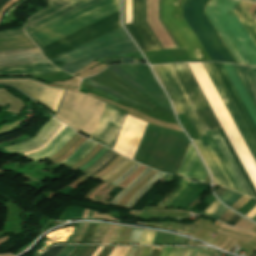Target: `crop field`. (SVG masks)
Listing matches in <instances>:
<instances>
[{"label":"crop field","instance_id":"crop-field-31","mask_svg":"<svg viewBox=\"0 0 256 256\" xmlns=\"http://www.w3.org/2000/svg\"><path fill=\"white\" fill-rule=\"evenodd\" d=\"M108 225H99L91 243H100Z\"/></svg>","mask_w":256,"mask_h":256},{"label":"crop field","instance_id":"crop-field-5","mask_svg":"<svg viewBox=\"0 0 256 256\" xmlns=\"http://www.w3.org/2000/svg\"><path fill=\"white\" fill-rule=\"evenodd\" d=\"M105 105L87 95L66 90L55 117L77 132L81 130L92 136Z\"/></svg>","mask_w":256,"mask_h":256},{"label":"crop field","instance_id":"crop-field-46","mask_svg":"<svg viewBox=\"0 0 256 256\" xmlns=\"http://www.w3.org/2000/svg\"><path fill=\"white\" fill-rule=\"evenodd\" d=\"M184 249L172 248L168 256H180Z\"/></svg>","mask_w":256,"mask_h":256},{"label":"crop field","instance_id":"crop-field-9","mask_svg":"<svg viewBox=\"0 0 256 256\" xmlns=\"http://www.w3.org/2000/svg\"><path fill=\"white\" fill-rule=\"evenodd\" d=\"M102 0H49V8L29 19L26 31L30 34L83 10Z\"/></svg>","mask_w":256,"mask_h":256},{"label":"crop field","instance_id":"crop-field-21","mask_svg":"<svg viewBox=\"0 0 256 256\" xmlns=\"http://www.w3.org/2000/svg\"><path fill=\"white\" fill-rule=\"evenodd\" d=\"M251 5V2L240 0L233 11L256 44V20H253L248 11Z\"/></svg>","mask_w":256,"mask_h":256},{"label":"crop field","instance_id":"crop-field-60","mask_svg":"<svg viewBox=\"0 0 256 256\" xmlns=\"http://www.w3.org/2000/svg\"><path fill=\"white\" fill-rule=\"evenodd\" d=\"M252 220L256 221V216Z\"/></svg>","mask_w":256,"mask_h":256},{"label":"crop field","instance_id":"crop-field-56","mask_svg":"<svg viewBox=\"0 0 256 256\" xmlns=\"http://www.w3.org/2000/svg\"><path fill=\"white\" fill-rule=\"evenodd\" d=\"M198 251H199V250L194 249L193 252H192V254H191L190 256H195Z\"/></svg>","mask_w":256,"mask_h":256},{"label":"crop field","instance_id":"crop-field-1","mask_svg":"<svg viewBox=\"0 0 256 256\" xmlns=\"http://www.w3.org/2000/svg\"><path fill=\"white\" fill-rule=\"evenodd\" d=\"M182 65H183L186 73L188 74L192 84L194 85L198 95L200 96L204 106L206 107L210 117L212 118L216 128H219L220 125H219L215 115L213 114L208 102L206 101L201 89L199 88L194 76L192 75L187 63H182ZM182 65H181V63L176 64L181 76L183 77L188 89L190 90V92H191L196 104L198 105L203 117L205 118L210 130L215 129V126H214L211 118L209 117L205 107L203 106L199 96L197 95V93H196L193 85L191 84L187 74L185 73ZM170 66H171L175 76L177 77L182 89L184 90L189 102L191 103L196 115L198 116L202 126L204 127L205 131L209 130L204 118L202 117L197 105L195 104V102H194L189 90L187 89L182 77L180 76L175 64H170ZM170 66H169V64H164V65H156V66H154V68H155L159 78L161 79L165 89L167 90V92H168V94H169V96H170V98H171V100L174 104L177 114L179 115V114H183L185 112L186 117L188 118L190 123L193 125L195 131L197 132L201 141H197V140H194V141L196 142L200 152L202 153V155H203L206 163L208 164L212 174L214 175L218 185H222V186H225V187H227L229 189H233V190L237 189V191H239L243 194L246 193V195H248L250 197H253L250 189L248 188L244 178L242 177L239 169L237 168L233 158L231 157L228 149L226 148V146H225L222 138L220 137L217 129L212 130V133H213L215 139L217 140L220 148L222 149L225 157L227 158V160H228L231 168L233 169L236 177L238 178L241 186L243 187L245 193H244L242 187L240 186L237 178L235 177L232 169L230 168V166H229L226 158L224 157L221 149L219 148L216 140L214 139L211 131H208L206 133H207L209 139L211 140L216 152L218 153L223 165L225 166L230 178L232 179V181H233V183L236 187V189H235V187H234L233 183L231 182L227 172L225 171L222 163L220 162L216 152L214 151L211 143L209 142L205 132L203 131L196 115L194 114L187 98L185 97L178 81L176 80ZM182 108H183L184 112H183Z\"/></svg>","mask_w":256,"mask_h":256},{"label":"crop field","instance_id":"crop-field-35","mask_svg":"<svg viewBox=\"0 0 256 256\" xmlns=\"http://www.w3.org/2000/svg\"><path fill=\"white\" fill-rule=\"evenodd\" d=\"M97 143L92 142L77 158H75L73 161H71L69 164L65 165L67 167L71 166L72 164L76 163L77 161L81 160L86 156V154L91 151ZM73 166V165H72Z\"/></svg>","mask_w":256,"mask_h":256},{"label":"crop field","instance_id":"crop-field-50","mask_svg":"<svg viewBox=\"0 0 256 256\" xmlns=\"http://www.w3.org/2000/svg\"><path fill=\"white\" fill-rule=\"evenodd\" d=\"M71 245H66L56 256H63Z\"/></svg>","mask_w":256,"mask_h":256},{"label":"crop field","instance_id":"crop-field-2","mask_svg":"<svg viewBox=\"0 0 256 256\" xmlns=\"http://www.w3.org/2000/svg\"><path fill=\"white\" fill-rule=\"evenodd\" d=\"M163 0L162 20L177 42L180 49L186 51L190 59L219 60L233 62V58L203 14L208 0ZM183 17L198 38L185 22ZM132 22L127 27L143 51L160 50L152 36L142 23V0H132Z\"/></svg>","mask_w":256,"mask_h":256},{"label":"crop field","instance_id":"crop-field-43","mask_svg":"<svg viewBox=\"0 0 256 256\" xmlns=\"http://www.w3.org/2000/svg\"><path fill=\"white\" fill-rule=\"evenodd\" d=\"M96 248L97 246H87L86 250L81 256H92Z\"/></svg>","mask_w":256,"mask_h":256},{"label":"crop field","instance_id":"crop-field-13","mask_svg":"<svg viewBox=\"0 0 256 256\" xmlns=\"http://www.w3.org/2000/svg\"><path fill=\"white\" fill-rule=\"evenodd\" d=\"M146 124L127 115L113 150L133 159Z\"/></svg>","mask_w":256,"mask_h":256},{"label":"crop field","instance_id":"crop-field-11","mask_svg":"<svg viewBox=\"0 0 256 256\" xmlns=\"http://www.w3.org/2000/svg\"><path fill=\"white\" fill-rule=\"evenodd\" d=\"M203 65L256 161V142L247 128L243 118L241 117L237 107L235 106L231 96L229 95L225 85L223 84L219 74L217 73L213 63H203Z\"/></svg>","mask_w":256,"mask_h":256},{"label":"crop field","instance_id":"crop-field-8","mask_svg":"<svg viewBox=\"0 0 256 256\" xmlns=\"http://www.w3.org/2000/svg\"><path fill=\"white\" fill-rule=\"evenodd\" d=\"M109 68L144 95L150 97L158 106L172 112L165 93L154 80L148 66L112 65Z\"/></svg>","mask_w":256,"mask_h":256},{"label":"crop field","instance_id":"crop-field-16","mask_svg":"<svg viewBox=\"0 0 256 256\" xmlns=\"http://www.w3.org/2000/svg\"><path fill=\"white\" fill-rule=\"evenodd\" d=\"M62 123L58 122L56 119L52 118L49 120L42 130L32 139L18 143L16 145L5 147V150L8 152H25L33 150L44 142L51 133L61 125Z\"/></svg>","mask_w":256,"mask_h":256},{"label":"crop field","instance_id":"crop-field-47","mask_svg":"<svg viewBox=\"0 0 256 256\" xmlns=\"http://www.w3.org/2000/svg\"><path fill=\"white\" fill-rule=\"evenodd\" d=\"M187 242H188V239H184L177 236L173 245H186Z\"/></svg>","mask_w":256,"mask_h":256},{"label":"crop field","instance_id":"crop-field-34","mask_svg":"<svg viewBox=\"0 0 256 256\" xmlns=\"http://www.w3.org/2000/svg\"><path fill=\"white\" fill-rule=\"evenodd\" d=\"M118 156L119 155L114 153L99 168H97L95 171H93L92 173H90V174H88L86 176L92 177V176L98 174L102 169H104L106 166H108Z\"/></svg>","mask_w":256,"mask_h":256},{"label":"crop field","instance_id":"crop-field-57","mask_svg":"<svg viewBox=\"0 0 256 256\" xmlns=\"http://www.w3.org/2000/svg\"><path fill=\"white\" fill-rule=\"evenodd\" d=\"M251 69H252V71H253V73H254V75L256 77V68L251 67Z\"/></svg>","mask_w":256,"mask_h":256},{"label":"crop field","instance_id":"crop-field-52","mask_svg":"<svg viewBox=\"0 0 256 256\" xmlns=\"http://www.w3.org/2000/svg\"><path fill=\"white\" fill-rule=\"evenodd\" d=\"M77 246H72L64 256H68Z\"/></svg>","mask_w":256,"mask_h":256},{"label":"crop field","instance_id":"crop-field-37","mask_svg":"<svg viewBox=\"0 0 256 256\" xmlns=\"http://www.w3.org/2000/svg\"><path fill=\"white\" fill-rule=\"evenodd\" d=\"M108 149L102 148L93 158H91L84 166L78 168L79 170H84L90 165H92L102 154H104Z\"/></svg>","mask_w":256,"mask_h":256},{"label":"crop field","instance_id":"crop-field-36","mask_svg":"<svg viewBox=\"0 0 256 256\" xmlns=\"http://www.w3.org/2000/svg\"><path fill=\"white\" fill-rule=\"evenodd\" d=\"M129 162V160L127 159H123V161L118 164L112 171H110L109 173H107L106 175H104L102 178H100V180L104 181L106 179H108L109 177H111L113 174L117 173L125 164H127Z\"/></svg>","mask_w":256,"mask_h":256},{"label":"crop field","instance_id":"crop-field-19","mask_svg":"<svg viewBox=\"0 0 256 256\" xmlns=\"http://www.w3.org/2000/svg\"><path fill=\"white\" fill-rule=\"evenodd\" d=\"M50 62L23 65L16 67L0 68V76L7 75H33L41 73L58 72Z\"/></svg>","mask_w":256,"mask_h":256},{"label":"crop field","instance_id":"crop-field-10","mask_svg":"<svg viewBox=\"0 0 256 256\" xmlns=\"http://www.w3.org/2000/svg\"><path fill=\"white\" fill-rule=\"evenodd\" d=\"M214 65H215L218 73L220 74L224 84L226 85L230 95L232 96L236 106L238 107L242 117L244 118L248 128L250 129L253 137L256 140V127H255V125H256V109L254 108L250 98L248 97L244 87L242 86V84H241L238 76L236 75L232 65L223 64L227 74L229 75L233 85L235 86L239 96L241 97V99H242L245 107L247 108L251 118L253 119L255 125H254L252 119L250 118L246 108L244 107L240 97L238 96L234 86L232 85L228 75L226 74L222 64L214 63Z\"/></svg>","mask_w":256,"mask_h":256},{"label":"crop field","instance_id":"crop-field-61","mask_svg":"<svg viewBox=\"0 0 256 256\" xmlns=\"http://www.w3.org/2000/svg\"><path fill=\"white\" fill-rule=\"evenodd\" d=\"M249 1H254V0H249ZM254 2H256V1H254Z\"/></svg>","mask_w":256,"mask_h":256},{"label":"crop field","instance_id":"crop-field-45","mask_svg":"<svg viewBox=\"0 0 256 256\" xmlns=\"http://www.w3.org/2000/svg\"><path fill=\"white\" fill-rule=\"evenodd\" d=\"M241 218H242V217L238 216L237 214H234V215L228 220V222H227L226 224L234 226L235 223H236L239 219H241Z\"/></svg>","mask_w":256,"mask_h":256},{"label":"crop field","instance_id":"crop-field-42","mask_svg":"<svg viewBox=\"0 0 256 256\" xmlns=\"http://www.w3.org/2000/svg\"><path fill=\"white\" fill-rule=\"evenodd\" d=\"M250 198L249 197H245L243 196L236 204H234L232 207V209L234 210H238L242 205H244Z\"/></svg>","mask_w":256,"mask_h":256},{"label":"crop field","instance_id":"crop-field-22","mask_svg":"<svg viewBox=\"0 0 256 256\" xmlns=\"http://www.w3.org/2000/svg\"><path fill=\"white\" fill-rule=\"evenodd\" d=\"M235 67L256 104V78L254 77L250 67L237 65H235Z\"/></svg>","mask_w":256,"mask_h":256},{"label":"crop field","instance_id":"crop-field-54","mask_svg":"<svg viewBox=\"0 0 256 256\" xmlns=\"http://www.w3.org/2000/svg\"><path fill=\"white\" fill-rule=\"evenodd\" d=\"M142 250V247H138L135 254L133 256H139L140 252Z\"/></svg>","mask_w":256,"mask_h":256},{"label":"crop field","instance_id":"crop-field-38","mask_svg":"<svg viewBox=\"0 0 256 256\" xmlns=\"http://www.w3.org/2000/svg\"><path fill=\"white\" fill-rule=\"evenodd\" d=\"M140 166V164L135 163L126 173H124L119 179H117L115 182H113L112 184L114 185H118L121 181H123L124 179H126L127 177H129V175L131 173H133L138 167Z\"/></svg>","mask_w":256,"mask_h":256},{"label":"crop field","instance_id":"crop-field-4","mask_svg":"<svg viewBox=\"0 0 256 256\" xmlns=\"http://www.w3.org/2000/svg\"><path fill=\"white\" fill-rule=\"evenodd\" d=\"M135 51L137 49L122 27H120L53 59V61L66 62L60 68L73 74L95 59Z\"/></svg>","mask_w":256,"mask_h":256},{"label":"crop field","instance_id":"crop-field-12","mask_svg":"<svg viewBox=\"0 0 256 256\" xmlns=\"http://www.w3.org/2000/svg\"><path fill=\"white\" fill-rule=\"evenodd\" d=\"M0 83L15 87L26 93L31 98L43 103L56 111L64 90L48 88L45 84L30 78L2 79Z\"/></svg>","mask_w":256,"mask_h":256},{"label":"crop field","instance_id":"crop-field-53","mask_svg":"<svg viewBox=\"0 0 256 256\" xmlns=\"http://www.w3.org/2000/svg\"><path fill=\"white\" fill-rule=\"evenodd\" d=\"M191 251H192V250L185 249V251H184V253H183L182 256H188V255H190Z\"/></svg>","mask_w":256,"mask_h":256},{"label":"crop field","instance_id":"crop-field-23","mask_svg":"<svg viewBox=\"0 0 256 256\" xmlns=\"http://www.w3.org/2000/svg\"><path fill=\"white\" fill-rule=\"evenodd\" d=\"M164 174L158 172L142 189H140L125 205L126 208L132 209L136 201L148 191L156 182H158Z\"/></svg>","mask_w":256,"mask_h":256},{"label":"crop field","instance_id":"crop-field-24","mask_svg":"<svg viewBox=\"0 0 256 256\" xmlns=\"http://www.w3.org/2000/svg\"><path fill=\"white\" fill-rule=\"evenodd\" d=\"M83 81L89 83L90 85L94 86L95 88H97V89H99V90H101V91H103L105 93H108V94H110L112 96H115L117 98H120V99H122V100H124V101H126V102H128L130 104L136 105L138 107H141V108H144V109L150 111V109H148V108H146V107H144V106H142V105H140V104H138V103H136V102H134V101H132V100H130L128 98H125V97L119 95L118 93L112 91L111 89L105 87L104 85H102V84H100V83H98V82H96V81H94V80H92L90 78H85V79H83Z\"/></svg>","mask_w":256,"mask_h":256},{"label":"crop field","instance_id":"crop-field-40","mask_svg":"<svg viewBox=\"0 0 256 256\" xmlns=\"http://www.w3.org/2000/svg\"><path fill=\"white\" fill-rule=\"evenodd\" d=\"M143 230L134 229L128 244L138 243Z\"/></svg>","mask_w":256,"mask_h":256},{"label":"crop field","instance_id":"crop-field-20","mask_svg":"<svg viewBox=\"0 0 256 256\" xmlns=\"http://www.w3.org/2000/svg\"><path fill=\"white\" fill-rule=\"evenodd\" d=\"M74 134L76 133L67 127L44 150L27 157L34 161L50 157L55 154Z\"/></svg>","mask_w":256,"mask_h":256},{"label":"crop field","instance_id":"crop-field-7","mask_svg":"<svg viewBox=\"0 0 256 256\" xmlns=\"http://www.w3.org/2000/svg\"><path fill=\"white\" fill-rule=\"evenodd\" d=\"M120 26L121 25L119 23L118 11L102 20H99L81 30H78L62 39H59L43 47V49L45 50L47 56L52 59Z\"/></svg>","mask_w":256,"mask_h":256},{"label":"crop field","instance_id":"crop-field-18","mask_svg":"<svg viewBox=\"0 0 256 256\" xmlns=\"http://www.w3.org/2000/svg\"><path fill=\"white\" fill-rule=\"evenodd\" d=\"M33 46L35 45L22 28L0 32V51Z\"/></svg>","mask_w":256,"mask_h":256},{"label":"crop field","instance_id":"crop-field-6","mask_svg":"<svg viewBox=\"0 0 256 256\" xmlns=\"http://www.w3.org/2000/svg\"><path fill=\"white\" fill-rule=\"evenodd\" d=\"M118 10L119 0H106L45 29H42L32 34V36L43 47Z\"/></svg>","mask_w":256,"mask_h":256},{"label":"crop field","instance_id":"crop-field-44","mask_svg":"<svg viewBox=\"0 0 256 256\" xmlns=\"http://www.w3.org/2000/svg\"><path fill=\"white\" fill-rule=\"evenodd\" d=\"M84 223H81L77 229V231L75 232V234L72 236V238L69 240L68 243H74V241L76 240L77 236L79 235V233L81 232L82 228H83Z\"/></svg>","mask_w":256,"mask_h":256},{"label":"crop field","instance_id":"crop-field-58","mask_svg":"<svg viewBox=\"0 0 256 256\" xmlns=\"http://www.w3.org/2000/svg\"><path fill=\"white\" fill-rule=\"evenodd\" d=\"M7 0H0V6L3 5L4 2H6Z\"/></svg>","mask_w":256,"mask_h":256},{"label":"crop field","instance_id":"crop-field-28","mask_svg":"<svg viewBox=\"0 0 256 256\" xmlns=\"http://www.w3.org/2000/svg\"><path fill=\"white\" fill-rule=\"evenodd\" d=\"M65 127V125H61L59 128H57L53 133L52 135L44 142L41 144V146L33 151H29V152H25L26 155L28 154H32V153H35V152H38L42 149H44L53 139L54 137ZM24 154V155H25Z\"/></svg>","mask_w":256,"mask_h":256},{"label":"crop field","instance_id":"crop-field-26","mask_svg":"<svg viewBox=\"0 0 256 256\" xmlns=\"http://www.w3.org/2000/svg\"><path fill=\"white\" fill-rule=\"evenodd\" d=\"M151 169L146 168L135 180H133L124 190H122L113 200L112 204H117L120 199L129 191L131 190L143 177H145Z\"/></svg>","mask_w":256,"mask_h":256},{"label":"crop field","instance_id":"crop-field-3","mask_svg":"<svg viewBox=\"0 0 256 256\" xmlns=\"http://www.w3.org/2000/svg\"><path fill=\"white\" fill-rule=\"evenodd\" d=\"M239 0H210L205 14L238 63L256 65V46L233 13Z\"/></svg>","mask_w":256,"mask_h":256},{"label":"crop field","instance_id":"crop-field-30","mask_svg":"<svg viewBox=\"0 0 256 256\" xmlns=\"http://www.w3.org/2000/svg\"><path fill=\"white\" fill-rule=\"evenodd\" d=\"M90 143H91V141H89V140L85 141L70 157H68L67 159H65L64 161H62L58 164L64 165V164L70 162L75 157H77Z\"/></svg>","mask_w":256,"mask_h":256},{"label":"crop field","instance_id":"crop-field-27","mask_svg":"<svg viewBox=\"0 0 256 256\" xmlns=\"http://www.w3.org/2000/svg\"><path fill=\"white\" fill-rule=\"evenodd\" d=\"M242 195L231 191L229 189L226 190V192L220 196L219 198L229 207L234 204L239 198H241Z\"/></svg>","mask_w":256,"mask_h":256},{"label":"crop field","instance_id":"crop-field-48","mask_svg":"<svg viewBox=\"0 0 256 256\" xmlns=\"http://www.w3.org/2000/svg\"><path fill=\"white\" fill-rule=\"evenodd\" d=\"M230 211V210H229ZM228 210L219 218V220L223 222H227V220L232 216L233 213L229 212ZM218 220V221H219Z\"/></svg>","mask_w":256,"mask_h":256},{"label":"crop field","instance_id":"crop-field-55","mask_svg":"<svg viewBox=\"0 0 256 256\" xmlns=\"http://www.w3.org/2000/svg\"><path fill=\"white\" fill-rule=\"evenodd\" d=\"M135 249H136V247H132L131 250L129 251V253L127 254V256H132Z\"/></svg>","mask_w":256,"mask_h":256},{"label":"crop field","instance_id":"crop-field-51","mask_svg":"<svg viewBox=\"0 0 256 256\" xmlns=\"http://www.w3.org/2000/svg\"><path fill=\"white\" fill-rule=\"evenodd\" d=\"M226 189L219 187L215 190V194L219 197Z\"/></svg>","mask_w":256,"mask_h":256},{"label":"crop field","instance_id":"crop-field-49","mask_svg":"<svg viewBox=\"0 0 256 256\" xmlns=\"http://www.w3.org/2000/svg\"><path fill=\"white\" fill-rule=\"evenodd\" d=\"M211 254H212V252L200 250V252L196 256H210Z\"/></svg>","mask_w":256,"mask_h":256},{"label":"crop field","instance_id":"crop-field-15","mask_svg":"<svg viewBox=\"0 0 256 256\" xmlns=\"http://www.w3.org/2000/svg\"><path fill=\"white\" fill-rule=\"evenodd\" d=\"M93 77L99 82L119 91L120 93L135 101L145 104L151 108L155 106L146 99H144L142 96H140L138 93H136L133 89H131L127 84H125L122 80H120L108 69L102 72L101 74Z\"/></svg>","mask_w":256,"mask_h":256},{"label":"crop field","instance_id":"crop-field-25","mask_svg":"<svg viewBox=\"0 0 256 256\" xmlns=\"http://www.w3.org/2000/svg\"><path fill=\"white\" fill-rule=\"evenodd\" d=\"M227 209L220 205V203L215 200L204 212L203 215L210 216L214 219H218Z\"/></svg>","mask_w":256,"mask_h":256},{"label":"crop field","instance_id":"crop-field-39","mask_svg":"<svg viewBox=\"0 0 256 256\" xmlns=\"http://www.w3.org/2000/svg\"><path fill=\"white\" fill-rule=\"evenodd\" d=\"M196 227L197 226H193V225H181L178 231L192 235Z\"/></svg>","mask_w":256,"mask_h":256},{"label":"crop field","instance_id":"crop-field-29","mask_svg":"<svg viewBox=\"0 0 256 256\" xmlns=\"http://www.w3.org/2000/svg\"><path fill=\"white\" fill-rule=\"evenodd\" d=\"M163 248L158 247H144L140 256H159Z\"/></svg>","mask_w":256,"mask_h":256},{"label":"crop field","instance_id":"crop-field-59","mask_svg":"<svg viewBox=\"0 0 256 256\" xmlns=\"http://www.w3.org/2000/svg\"><path fill=\"white\" fill-rule=\"evenodd\" d=\"M211 256H217V254H216V253H214V254H212Z\"/></svg>","mask_w":256,"mask_h":256},{"label":"crop field","instance_id":"crop-field-41","mask_svg":"<svg viewBox=\"0 0 256 256\" xmlns=\"http://www.w3.org/2000/svg\"><path fill=\"white\" fill-rule=\"evenodd\" d=\"M65 246V245H64ZM64 246H55L42 256H55Z\"/></svg>","mask_w":256,"mask_h":256},{"label":"crop field","instance_id":"crop-field-33","mask_svg":"<svg viewBox=\"0 0 256 256\" xmlns=\"http://www.w3.org/2000/svg\"><path fill=\"white\" fill-rule=\"evenodd\" d=\"M154 233H155V232L144 230V231H143V234H142V236H141V239H140L139 244H148V245H151V244H152L153 237H154Z\"/></svg>","mask_w":256,"mask_h":256},{"label":"crop field","instance_id":"crop-field-17","mask_svg":"<svg viewBox=\"0 0 256 256\" xmlns=\"http://www.w3.org/2000/svg\"><path fill=\"white\" fill-rule=\"evenodd\" d=\"M177 175L204 181L207 173L190 144Z\"/></svg>","mask_w":256,"mask_h":256},{"label":"crop field","instance_id":"crop-field-32","mask_svg":"<svg viewBox=\"0 0 256 256\" xmlns=\"http://www.w3.org/2000/svg\"><path fill=\"white\" fill-rule=\"evenodd\" d=\"M112 153H114V152H112L110 150L107 151L100 159H98V161L95 164H93L90 168H88V169H86V170H84L82 172H84L86 174L92 172L94 169H96L98 166H100L103 163V161L106 158H108Z\"/></svg>","mask_w":256,"mask_h":256},{"label":"crop field","instance_id":"crop-field-14","mask_svg":"<svg viewBox=\"0 0 256 256\" xmlns=\"http://www.w3.org/2000/svg\"><path fill=\"white\" fill-rule=\"evenodd\" d=\"M47 60L37 47L0 52V67L16 66Z\"/></svg>","mask_w":256,"mask_h":256}]
</instances>
